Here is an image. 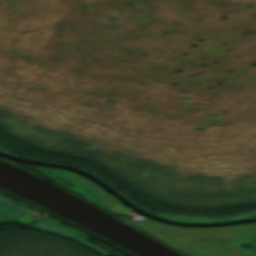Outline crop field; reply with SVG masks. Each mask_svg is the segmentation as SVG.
Segmentation results:
<instances>
[{"label": "crop field", "instance_id": "8a807250", "mask_svg": "<svg viewBox=\"0 0 256 256\" xmlns=\"http://www.w3.org/2000/svg\"><path fill=\"white\" fill-rule=\"evenodd\" d=\"M139 223L193 256H256L253 251L242 248L256 236L248 225L191 229L177 228L146 218Z\"/></svg>", "mask_w": 256, "mask_h": 256}, {"label": "crop field", "instance_id": "ac0d7876", "mask_svg": "<svg viewBox=\"0 0 256 256\" xmlns=\"http://www.w3.org/2000/svg\"><path fill=\"white\" fill-rule=\"evenodd\" d=\"M55 174H59L69 180L72 181V183L74 184V186L79 189L81 192H83L85 195H87L89 198L95 200L90 194H88L84 189H86L89 193H91L93 196H95L100 202L101 204L110 207L116 204H119V202H117L115 199H113L110 195L105 194L104 192H102L100 190V188L96 187L95 185L85 181L84 179H82L81 177L72 174L68 171H59L56 170L54 171ZM84 189H83V188Z\"/></svg>", "mask_w": 256, "mask_h": 256}, {"label": "crop field", "instance_id": "34b2d1b8", "mask_svg": "<svg viewBox=\"0 0 256 256\" xmlns=\"http://www.w3.org/2000/svg\"><path fill=\"white\" fill-rule=\"evenodd\" d=\"M156 216H160L170 220L176 221H185V222H215V221H228V220H236L247 218L251 216H256V211L241 214L237 216L223 217V218H206V217H192V216H178V215H168V214H154Z\"/></svg>", "mask_w": 256, "mask_h": 256}, {"label": "crop field", "instance_id": "412701ff", "mask_svg": "<svg viewBox=\"0 0 256 256\" xmlns=\"http://www.w3.org/2000/svg\"><path fill=\"white\" fill-rule=\"evenodd\" d=\"M27 213L5 201L0 200V222L13 218L15 216Z\"/></svg>", "mask_w": 256, "mask_h": 256}, {"label": "crop field", "instance_id": "f4fd0767", "mask_svg": "<svg viewBox=\"0 0 256 256\" xmlns=\"http://www.w3.org/2000/svg\"><path fill=\"white\" fill-rule=\"evenodd\" d=\"M253 229L255 230V232H256V224H253Z\"/></svg>", "mask_w": 256, "mask_h": 256}]
</instances>
